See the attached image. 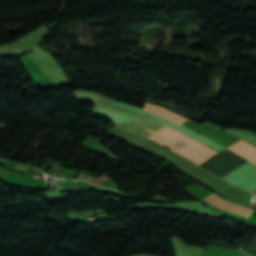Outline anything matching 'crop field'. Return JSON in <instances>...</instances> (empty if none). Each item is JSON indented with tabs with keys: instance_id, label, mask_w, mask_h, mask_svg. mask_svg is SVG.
<instances>
[{
	"instance_id": "obj_1",
	"label": "crop field",
	"mask_w": 256,
	"mask_h": 256,
	"mask_svg": "<svg viewBox=\"0 0 256 256\" xmlns=\"http://www.w3.org/2000/svg\"><path fill=\"white\" fill-rule=\"evenodd\" d=\"M163 126L164 125L152 119L142 117L138 120L121 125L118 127V129L142 135L148 138ZM201 145L203 144L189 138L178 146L174 147L172 150L185 156ZM210 149L203 145L185 157L198 164L216 153ZM223 179L242 189L256 179V166L247 160L228 175H226Z\"/></svg>"
},
{
	"instance_id": "obj_2",
	"label": "crop field",
	"mask_w": 256,
	"mask_h": 256,
	"mask_svg": "<svg viewBox=\"0 0 256 256\" xmlns=\"http://www.w3.org/2000/svg\"><path fill=\"white\" fill-rule=\"evenodd\" d=\"M205 200H207L211 204H213V205H215V206H217V207H219L223 210L234 212V213H237V214H241V215H244L246 217H249V215L252 212V209L242 207L238 204H234V203H230L228 201H225L221 197L216 196L213 193L210 194L208 197H206Z\"/></svg>"
},
{
	"instance_id": "obj_3",
	"label": "crop field",
	"mask_w": 256,
	"mask_h": 256,
	"mask_svg": "<svg viewBox=\"0 0 256 256\" xmlns=\"http://www.w3.org/2000/svg\"><path fill=\"white\" fill-rule=\"evenodd\" d=\"M143 110H147V111L153 112L155 114L161 115V116L166 117L178 124L187 120L185 118H182L176 114H173V113H171L161 107L155 106V105L145 104Z\"/></svg>"
},
{
	"instance_id": "obj_4",
	"label": "crop field",
	"mask_w": 256,
	"mask_h": 256,
	"mask_svg": "<svg viewBox=\"0 0 256 256\" xmlns=\"http://www.w3.org/2000/svg\"><path fill=\"white\" fill-rule=\"evenodd\" d=\"M221 256H249L237 250H224Z\"/></svg>"
},
{
	"instance_id": "obj_5",
	"label": "crop field",
	"mask_w": 256,
	"mask_h": 256,
	"mask_svg": "<svg viewBox=\"0 0 256 256\" xmlns=\"http://www.w3.org/2000/svg\"><path fill=\"white\" fill-rule=\"evenodd\" d=\"M251 206H253V205H251ZM253 207H255V208H256V206H253Z\"/></svg>"
}]
</instances>
